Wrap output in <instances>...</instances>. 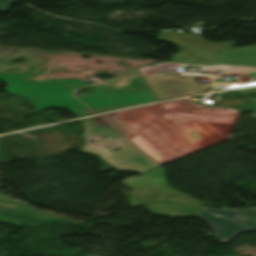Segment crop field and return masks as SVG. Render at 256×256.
Wrapping results in <instances>:
<instances>
[{
  "instance_id": "crop-field-1",
  "label": "crop field",
  "mask_w": 256,
  "mask_h": 256,
  "mask_svg": "<svg viewBox=\"0 0 256 256\" xmlns=\"http://www.w3.org/2000/svg\"><path fill=\"white\" fill-rule=\"evenodd\" d=\"M0 79L9 84L6 91L27 96L35 110L66 107L77 117L156 100L150 89L123 93L96 90L89 97H81L76 95L81 89L77 87L31 82L2 73Z\"/></svg>"
},
{
  "instance_id": "crop-field-2",
  "label": "crop field",
  "mask_w": 256,
  "mask_h": 256,
  "mask_svg": "<svg viewBox=\"0 0 256 256\" xmlns=\"http://www.w3.org/2000/svg\"><path fill=\"white\" fill-rule=\"evenodd\" d=\"M177 45L180 51L171 61L212 64L218 63L224 50L231 49L233 42L209 43L197 34L161 32L158 39Z\"/></svg>"
},
{
  "instance_id": "crop-field-3",
  "label": "crop field",
  "mask_w": 256,
  "mask_h": 256,
  "mask_svg": "<svg viewBox=\"0 0 256 256\" xmlns=\"http://www.w3.org/2000/svg\"><path fill=\"white\" fill-rule=\"evenodd\" d=\"M198 217L206 220L212 226L217 240L222 242H228L238 233L256 229L255 208L232 211L202 207Z\"/></svg>"
},
{
  "instance_id": "crop-field-4",
  "label": "crop field",
  "mask_w": 256,
  "mask_h": 256,
  "mask_svg": "<svg viewBox=\"0 0 256 256\" xmlns=\"http://www.w3.org/2000/svg\"><path fill=\"white\" fill-rule=\"evenodd\" d=\"M120 143L122 145L120 151H104L89 148L86 146H84L82 150L99 155L115 169H126L144 172L146 170L159 166V164L153 161L149 156H147L141 149H139L127 138L120 141Z\"/></svg>"
},
{
  "instance_id": "crop-field-5",
  "label": "crop field",
  "mask_w": 256,
  "mask_h": 256,
  "mask_svg": "<svg viewBox=\"0 0 256 256\" xmlns=\"http://www.w3.org/2000/svg\"><path fill=\"white\" fill-rule=\"evenodd\" d=\"M144 78L158 100L201 93L211 87L210 84H197V79L192 77L151 75Z\"/></svg>"
},
{
  "instance_id": "crop-field-6",
  "label": "crop field",
  "mask_w": 256,
  "mask_h": 256,
  "mask_svg": "<svg viewBox=\"0 0 256 256\" xmlns=\"http://www.w3.org/2000/svg\"><path fill=\"white\" fill-rule=\"evenodd\" d=\"M0 215L26 224L80 223L82 221L62 217L34 209L0 194Z\"/></svg>"
},
{
  "instance_id": "crop-field-7",
  "label": "crop field",
  "mask_w": 256,
  "mask_h": 256,
  "mask_svg": "<svg viewBox=\"0 0 256 256\" xmlns=\"http://www.w3.org/2000/svg\"><path fill=\"white\" fill-rule=\"evenodd\" d=\"M169 193L174 197H166ZM129 202L131 206L201 208V203L175 189H160L154 199H129Z\"/></svg>"
},
{
  "instance_id": "crop-field-8",
  "label": "crop field",
  "mask_w": 256,
  "mask_h": 256,
  "mask_svg": "<svg viewBox=\"0 0 256 256\" xmlns=\"http://www.w3.org/2000/svg\"><path fill=\"white\" fill-rule=\"evenodd\" d=\"M189 64L175 63V62H166V63H157L153 66H144L139 68L141 74L154 73L157 71H171L175 67H183ZM200 66V65H193ZM204 67V70L217 72V70L223 71V75H238L245 70H249L256 67H245V66H227V65H216V66H201Z\"/></svg>"
},
{
  "instance_id": "crop-field-9",
  "label": "crop field",
  "mask_w": 256,
  "mask_h": 256,
  "mask_svg": "<svg viewBox=\"0 0 256 256\" xmlns=\"http://www.w3.org/2000/svg\"><path fill=\"white\" fill-rule=\"evenodd\" d=\"M3 73H7L10 75H14L21 78H26L34 81H41V82H50V83H60V84H68L74 86H81V87H88L94 89H102V90H109V91H122V90H131V89H140V88H147L146 84L142 80V78L134 79L128 86L122 88H114L106 83L102 84H94V85H87L85 82L81 80H40L37 78H33L27 75L17 74L9 71H1Z\"/></svg>"
},
{
  "instance_id": "crop-field-10",
  "label": "crop field",
  "mask_w": 256,
  "mask_h": 256,
  "mask_svg": "<svg viewBox=\"0 0 256 256\" xmlns=\"http://www.w3.org/2000/svg\"><path fill=\"white\" fill-rule=\"evenodd\" d=\"M219 63L256 66V46L225 51Z\"/></svg>"
},
{
  "instance_id": "crop-field-11",
  "label": "crop field",
  "mask_w": 256,
  "mask_h": 256,
  "mask_svg": "<svg viewBox=\"0 0 256 256\" xmlns=\"http://www.w3.org/2000/svg\"><path fill=\"white\" fill-rule=\"evenodd\" d=\"M256 85V70L239 76L236 83L216 82L212 89H231L244 86Z\"/></svg>"
},
{
  "instance_id": "crop-field-12",
  "label": "crop field",
  "mask_w": 256,
  "mask_h": 256,
  "mask_svg": "<svg viewBox=\"0 0 256 256\" xmlns=\"http://www.w3.org/2000/svg\"><path fill=\"white\" fill-rule=\"evenodd\" d=\"M148 210L152 214L177 215V216H185V217H197L200 211V209L161 208V207H148Z\"/></svg>"
},
{
  "instance_id": "crop-field-13",
  "label": "crop field",
  "mask_w": 256,
  "mask_h": 256,
  "mask_svg": "<svg viewBox=\"0 0 256 256\" xmlns=\"http://www.w3.org/2000/svg\"><path fill=\"white\" fill-rule=\"evenodd\" d=\"M138 77H140V76H137V77H121V78L110 80L106 83H108V84H110L114 87H121V86L128 85L134 78H138Z\"/></svg>"
},
{
  "instance_id": "crop-field-14",
  "label": "crop field",
  "mask_w": 256,
  "mask_h": 256,
  "mask_svg": "<svg viewBox=\"0 0 256 256\" xmlns=\"http://www.w3.org/2000/svg\"><path fill=\"white\" fill-rule=\"evenodd\" d=\"M248 92H256V88L240 90V93H242V94H245V93H248ZM250 100L253 103V105L251 107H249V108H246V109H244L242 111H239V113L249 112V111H256V99L250 97Z\"/></svg>"
},
{
  "instance_id": "crop-field-15",
  "label": "crop field",
  "mask_w": 256,
  "mask_h": 256,
  "mask_svg": "<svg viewBox=\"0 0 256 256\" xmlns=\"http://www.w3.org/2000/svg\"><path fill=\"white\" fill-rule=\"evenodd\" d=\"M12 2L14 1H0V11H7Z\"/></svg>"
},
{
  "instance_id": "crop-field-16",
  "label": "crop field",
  "mask_w": 256,
  "mask_h": 256,
  "mask_svg": "<svg viewBox=\"0 0 256 256\" xmlns=\"http://www.w3.org/2000/svg\"><path fill=\"white\" fill-rule=\"evenodd\" d=\"M127 75H136L138 74L137 71L135 69L133 70H129L128 72H126Z\"/></svg>"
}]
</instances>
